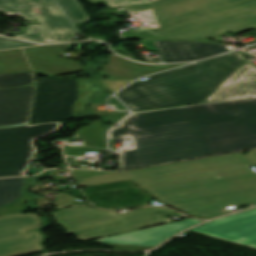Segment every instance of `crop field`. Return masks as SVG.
Wrapping results in <instances>:
<instances>
[{
	"label": "crop field",
	"instance_id": "obj_1",
	"mask_svg": "<svg viewBox=\"0 0 256 256\" xmlns=\"http://www.w3.org/2000/svg\"><path fill=\"white\" fill-rule=\"evenodd\" d=\"M103 117L104 140H132L120 170L256 147V98Z\"/></svg>",
	"mask_w": 256,
	"mask_h": 256
},
{
	"label": "crop field",
	"instance_id": "obj_2",
	"mask_svg": "<svg viewBox=\"0 0 256 256\" xmlns=\"http://www.w3.org/2000/svg\"><path fill=\"white\" fill-rule=\"evenodd\" d=\"M254 164L240 152L76 180L80 187L131 179L161 202L210 219L256 203Z\"/></svg>",
	"mask_w": 256,
	"mask_h": 256
},
{
	"label": "crop field",
	"instance_id": "obj_3",
	"mask_svg": "<svg viewBox=\"0 0 256 256\" xmlns=\"http://www.w3.org/2000/svg\"><path fill=\"white\" fill-rule=\"evenodd\" d=\"M245 59L237 52L148 76L116 93L132 111L202 103Z\"/></svg>",
	"mask_w": 256,
	"mask_h": 256
},
{
	"label": "crop field",
	"instance_id": "obj_4",
	"mask_svg": "<svg viewBox=\"0 0 256 256\" xmlns=\"http://www.w3.org/2000/svg\"><path fill=\"white\" fill-rule=\"evenodd\" d=\"M152 6L166 39H207L256 28V0H160Z\"/></svg>",
	"mask_w": 256,
	"mask_h": 256
},
{
	"label": "crop field",
	"instance_id": "obj_5",
	"mask_svg": "<svg viewBox=\"0 0 256 256\" xmlns=\"http://www.w3.org/2000/svg\"><path fill=\"white\" fill-rule=\"evenodd\" d=\"M171 214H174V211L165 207L143 208L118 215L115 211L89 208L85 206L67 208L51 213L56 222L66 230V233H75L90 226L122 221V223L119 224L91 228L76 234L81 241L169 222V218L163 219L162 216Z\"/></svg>",
	"mask_w": 256,
	"mask_h": 256
},
{
	"label": "crop field",
	"instance_id": "obj_6",
	"mask_svg": "<svg viewBox=\"0 0 256 256\" xmlns=\"http://www.w3.org/2000/svg\"><path fill=\"white\" fill-rule=\"evenodd\" d=\"M66 122L0 128V177L26 175L38 153L33 142Z\"/></svg>",
	"mask_w": 256,
	"mask_h": 256
},
{
	"label": "crop field",
	"instance_id": "obj_7",
	"mask_svg": "<svg viewBox=\"0 0 256 256\" xmlns=\"http://www.w3.org/2000/svg\"><path fill=\"white\" fill-rule=\"evenodd\" d=\"M0 10L8 17L37 19L46 42L73 41L77 34L54 0H0Z\"/></svg>",
	"mask_w": 256,
	"mask_h": 256
},
{
	"label": "crop field",
	"instance_id": "obj_8",
	"mask_svg": "<svg viewBox=\"0 0 256 256\" xmlns=\"http://www.w3.org/2000/svg\"><path fill=\"white\" fill-rule=\"evenodd\" d=\"M77 95V79L39 78L29 124L72 119V106Z\"/></svg>",
	"mask_w": 256,
	"mask_h": 256
},
{
	"label": "crop field",
	"instance_id": "obj_9",
	"mask_svg": "<svg viewBox=\"0 0 256 256\" xmlns=\"http://www.w3.org/2000/svg\"><path fill=\"white\" fill-rule=\"evenodd\" d=\"M31 81L32 72L0 74V87L24 85ZM36 84L0 90V127L28 124Z\"/></svg>",
	"mask_w": 256,
	"mask_h": 256
},
{
	"label": "crop field",
	"instance_id": "obj_10",
	"mask_svg": "<svg viewBox=\"0 0 256 256\" xmlns=\"http://www.w3.org/2000/svg\"><path fill=\"white\" fill-rule=\"evenodd\" d=\"M41 227L34 213L0 217V256H20L44 250L43 234L26 231Z\"/></svg>",
	"mask_w": 256,
	"mask_h": 256
},
{
	"label": "crop field",
	"instance_id": "obj_11",
	"mask_svg": "<svg viewBox=\"0 0 256 256\" xmlns=\"http://www.w3.org/2000/svg\"><path fill=\"white\" fill-rule=\"evenodd\" d=\"M188 231L256 249V208L216 219Z\"/></svg>",
	"mask_w": 256,
	"mask_h": 256
},
{
	"label": "crop field",
	"instance_id": "obj_12",
	"mask_svg": "<svg viewBox=\"0 0 256 256\" xmlns=\"http://www.w3.org/2000/svg\"><path fill=\"white\" fill-rule=\"evenodd\" d=\"M66 45H48L25 48L24 51L33 70L51 75H62L82 70L81 63L59 58Z\"/></svg>",
	"mask_w": 256,
	"mask_h": 256
},
{
	"label": "crop field",
	"instance_id": "obj_13",
	"mask_svg": "<svg viewBox=\"0 0 256 256\" xmlns=\"http://www.w3.org/2000/svg\"><path fill=\"white\" fill-rule=\"evenodd\" d=\"M253 97H256V70L246 61L204 103Z\"/></svg>",
	"mask_w": 256,
	"mask_h": 256
},
{
	"label": "crop field",
	"instance_id": "obj_14",
	"mask_svg": "<svg viewBox=\"0 0 256 256\" xmlns=\"http://www.w3.org/2000/svg\"><path fill=\"white\" fill-rule=\"evenodd\" d=\"M200 222L202 221L189 219L149 229L103 238L96 240V242L154 247L175 233L185 228L194 226Z\"/></svg>",
	"mask_w": 256,
	"mask_h": 256
},
{
	"label": "crop field",
	"instance_id": "obj_15",
	"mask_svg": "<svg viewBox=\"0 0 256 256\" xmlns=\"http://www.w3.org/2000/svg\"><path fill=\"white\" fill-rule=\"evenodd\" d=\"M165 63L195 61L229 51L225 46L211 43L153 41Z\"/></svg>",
	"mask_w": 256,
	"mask_h": 256
},
{
	"label": "crop field",
	"instance_id": "obj_16",
	"mask_svg": "<svg viewBox=\"0 0 256 256\" xmlns=\"http://www.w3.org/2000/svg\"><path fill=\"white\" fill-rule=\"evenodd\" d=\"M109 62L103 66V72L116 79H133L150 73L186 65H160L150 66L125 60L119 56L109 54ZM189 64V63H187Z\"/></svg>",
	"mask_w": 256,
	"mask_h": 256
},
{
	"label": "crop field",
	"instance_id": "obj_17",
	"mask_svg": "<svg viewBox=\"0 0 256 256\" xmlns=\"http://www.w3.org/2000/svg\"><path fill=\"white\" fill-rule=\"evenodd\" d=\"M102 134L101 122H91L90 126L76 132L74 137L80 142L64 147L65 155L82 156L85 151L115 152L110 144L100 139Z\"/></svg>",
	"mask_w": 256,
	"mask_h": 256
},
{
	"label": "crop field",
	"instance_id": "obj_18",
	"mask_svg": "<svg viewBox=\"0 0 256 256\" xmlns=\"http://www.w3.org/2000/svg\"><path fill=\"white\" fill-rule=\"evenodd\" d=\"M125 8L131 13H137L138 15H133L137 20L140 19L143 24L139 29L130 30L122 34L120 39H165L151 4L128 6ZM144 23H147V25H144Z\"/></svg>",
	"mask_w": 256,
	"mask_h": 256
},
{
	"label": "crop field",
	"instance_id": "obj_19",
	"mask_svg": "<svg viewBox=\"0 0 256 256\" xmlns=\"http://www.w3.org/2000/svg\"><path fill=\"white\" fill-rule=\"evenodd\" d=\"M24 185V177L0 179V206L7 205L21 197V189ZM31 197L32 195L27 194L11 206L0 208V216L27 212L28 210L24 207V204Z\"/></svg>",
	"mask_w": 256,
	"mask_h": 256
},
{
	"label": "crop field",
	"instance_id": "obj_20",
	"mask_svg": "<svg viewBox=\"0 0 256 256\" xmlns=\"http://www.w3.org/2000/svg\"><path fill=\"white\" fill-rule=\"evenodd\" d=\"M30 70L21 49L0 51V72L12 73Z\"/></svg>",
	"mask_w": 256,
	"mask_h": 256
},
{
	"label": "crop field",
	"instance_id": "obj_21",
	"mask_svg": "<svg viewBox=\"0 0 256 256\" xmlns=\"http://www.w3.org/2000/svg\"><path fill=\"white\" fill-rule=\"evenodd\" d=\"M74 25L90 20L89 14L78 0H57Z\"/></svg>",
	"mask_w": 256,
	"mask_h": 256
},
{
	"label": "crop field",
	"instance_id": "obj_22",
	"mask_svg": "<svg viewBox=\"0 0 256 256\" xmlns=\"http://www.w3.org/2000/svg\"><path fill=\"white\" fill-rule=\"evenodd\" d=\"M16 39L45 43L38 25L26 27V34L13 36Z\"/></svg>",
	"mask_w": 256,
	"mask_h": 256
},
{
	"label": "crop field",
	"instance_id": "obj_23",
	"mask_svg": "<svg viewBox=\"0 0 256 256\" xmlns=\"http://www.w3.org/2000/svg\"><path fill=\"white\" fill-rule=\"evenodd\" d=\"M101 0H89V2H98ZM105 5L113 8L117 6H128V5H137V4H147L151 3L150 0H104Z\"/></svg>",
	"mask_w": 256,
	"mask_h": 256
},
{
	"label": "crop field",
	"instance_id": "obj_24",
	"mask_svg": "<svg viewBox=\"0 0 256 256\" xmlns=\"http://www.w3.org/2000/svg\"><path fill=\"white\" fill-rule=\"evenodd\" d=\"M93 90H100L96 87L89 89V90H85V91H81L79 92L78 95V99L73 107V119L76 118L77 114L83 110V105L86 103L87 101V97L89 96V94L93 91Z\"/></svg>",
	"mask_w": 256,
	"mask_h": 256
},
{
	"label": "crop field",
	"instance_id": "obj_25",
	"mask_svg": "<svg viewBox=\"0 0 256 256\" xmlns=\"http://www.w3.org/2000/svg\"><path fill=\"white\" fill-rule=\"evenodd\" d=\"M36 44L16 41L8 38L0 37V49L17 48L25 46H34Z\"/></svg>",
	"mask_w": 256,
	"mask_h": 256
},
{
	"label": "crop field",
	"instance_id": "obj_26",
	"mask_svg": "<svg viewBox=\"0 0 256 256\" xmlns=\"http://www.w3.org/2000/svg\"><path fill=\"white\" fill-rule=\"evenodd\" d=\"M132 82V80H103L102 84L112 92Z\"/></svg>",
	"mask_w": 256,
	"mask_h": 256
},
{
	"label": "crop field",
	"instance_id": "obj_27",
	"mask_svg": "<svg viewBox=\"0 0 256 256\" xmlns=\"http://www.w3.org/2000/svg\"><path fill=\"white\" fill-rule=\"evenodd\" d=\"M105 246L112 247L111 250H119V251H141V250L150 249L147 247H133V246H116V245H105Z\"/></svg>",
	"mask_w": 256,
	"mask_h": 256
},
{
	"label": "crop field",
	"instance_id": "obj_28",
	"mask_svg": "<svg viewBox=\"0 0 256 256\" xmlns=\"http://www.w3.org/2000/svg\"><path fill=\"white\" fill-rule=\"evenodd\" d=\"M77 172L80 178L111 173V172H95V171H80V170H77Z\"/></svg>",
	"mask_w": 256,
	"mask_h": 256
},
{
	"label": "crop field",
	"instance_id": "obj_29",
	"mask_svg": "<svg viewBox=\"0 0 256 256\" xmlns=\"http://www.w3.org/2000/svg\"><path fill=\"white\" fill-rule=\"evenodd\" d=\"M78 87H79V91H80V90L91 88L93 86L90 85L89 83H87L85 81V78H83V79H78Z\"/></svg>",
	"mask_w": 256,
	"mask_h": 256
},
{
	"label": "crop field",
	"instance_id": "obj_30",
	"mask_svg": "<svg viewBox=\"0 0 256 256\" xmlns=\"http://www.w3.org/2000/svg\"><path fill=\"white\" fill-rule=\"evenodd\" d=\"M245 156L256 164V150L249 151Z\"/></svg>",
	"mask_w": 256,
	"mask_h": 256
}]
</instances>
